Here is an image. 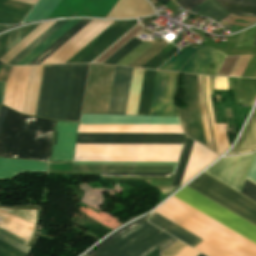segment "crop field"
<instances>
[{"mask_svg":"<svg viewBox=\"0 0 256 256\" xmlns=\"http://www.w3.org/2000/svg\"><path fill=\"white\" fill-rule=\"evenodd\" d=\"M112 22L92 20L40 64L65 63Z\"/></svg>","mask_w":256,"mask_h":256,"instance_id":"obj_12","label":"crop field"},{"mask_svg":"<svg viewBox=\"0 0 256 256\" xmlns=\"http://www.w3.org/2000/svg\"><path fill=\"white\" fill-rule=\"evenodd\" d=\"M156 71L145 70L137 115H148Z\"/></svg>","mask_w":256,"mask_h":256,"instance_id":"obj_26","label":"crop field"},{"mask_svg":"<svg viewBox=\"0 0 256 256\" xmlns=\"http://www.w3.org/2000/svg\"><path fill=\"white\" fill-rule=\"evenodd\" d=\"M11 66L2 64L0 68V81L6 82L11 71Z\"/></svg>","mask_w":256,"mask_h":256,"instance_id":"obj_51","label":"crop field"},{"mask_svg":"<svg viewBox=\"0 0 256 256\" xmlns=\"http://www.w3.org/2000/svg\"><path fill=\"white\" fill-rule=\"evenodd\" d=\"M88 64L44 66L35 116L78 121Z\"/></svg>","mask_w":256,"mask_h":256,"instance_id":"obj_3","label":"crop field"},{"mask_svg":"<svg viewBox=\"0 0 256 256\" xmlns=\"http://www.w3.org/2000/svg\"><path fill=\"white\" fill-rule=\"evenodd\" d=\"M136 22L137 20L127 21L122 27H120L116 32H114L110 37H108L104 42H102L98 47H96L92 52H90L78 63L91 62L112 43H114L119 37H121L126 31L134 26Z\"/></svg>","mask_w":256,"mask_h":256,"instance_id":"obj_30","label":"crop field"},{"mask_svg":"<svg viewBox=\"0 0 256 256\" xmlns=\"http://www.w3.org/2000/svg\"><path fill=\"white\" fill-rule=\"evenodd\" d=\"M191 12L210 18L216 22L219 21V23L229 15L214 0L204 1Z\"/></svg>","mask_w":256,"mask_h":256,"instance_id":"obj_32","label":"crop field"},{"mask_svg":"<svg viewBox=\"0 0 256 256\" xmlns=\"http://www.w3.org/2000/svg\"><path fill=\"white\" fill-rule=\"evenodd\" d=\"M31 7L10 0H0V24H19Z\"/></svg>","mask_w":256,"mask_h":256,"instance_id":"obj_22","label":"crop field"},{"mask_svg":"<svg viewBox=\"0 0 256 256\" xmlns=\"http://www.w3.org/2000/svg\"><path fill=\"white\" fill-rule=\"evenodd\" d=\"M148 221L193 248L203 241L154 212Z\"/></svg>","mask_w":256,"mask_h":256,"instance_id":"obj_21","label":"crop field"},{"mask_svg":"<svg viewBox=\"0 0 256 256\" xmlns=\"http://www.w3.org/2000/svg\"><path fill=\"white\" fill-rule=\"evenodd\" d=\"M177 73L157 71L151 116H178L173 102Z\"/></svg>","mask_w":256,"mask_h":256,"instance_id":"obj_13","label":"crop field"},{"mask_svg":"<svg viewBox=\"0 0 256 256\" xmlns=\"http://www.w3.org/2000/svg\"><path fill=\"white\" fill-rule=\"evenodd\" d=\"M125 22L126 21H114L111 25H109L104 31H102L97 37H95L90 43H88L83 49H81L66 63H77Z\"/></svg>","mask_w":256,"mask_h":256,"instance_id":"obj_28","label":"crop field"},{"mask_svg":"<svg viewBox=\"0 0 256 256\" xmlns=\"http://www.w3.org/2000/svg\"><path fill=\"white\" fill-rule=\"evenodd\" d=\"M252 46H256V39H255V41H254V43H253V45Z\"/></svg>","mask_w":256,"mask_h":256,"instance_id":"obj_60","label":"crop field"},{"mask_svg":"<svg viewBox=\"0 0 256 256\" xmlns=\"http://www.w3.org/2000/svg\"><path fill=\"white\" fill-rule=\"evenodd\" d=\"M16 1H20V2L35 5L38 0H16Z\"/></svg>","mask_w":256,"mask_h":256,"instance_id":"obj_57","label":"crop field"},{"mask_svg":"<svg viewBox=\"0 0 256 256\" xmlns=\"http://www.w3.org/2000/svg\"><path fill=\"white\" fill-rule=\"evenodd\" d=\"M177 51H178V48H176L174 46L166 54L160 52L154 58H152L148 63H146L143 67L144 68L156 69L158 66H160L164 61H166L169 57H171Z\"/></svg>","mask_w":256,"mask_h":256,"instance_id":"obj_41","label":"crop field"},{"mask_svg":"<svg viewBox=\"0 0 256 256\" xmlns=\"http://www.w3.org/2000/svg\"><path fill=\"white\" fill-rule=\"evenodd\" d=\"M247 31H248V30L243 31V32L241 33V35H240V37H239V39H238V41H237V43H236L235 46H240V45H241V43H242V41H243V39H244V37H245Z\"/></svg>","mask_w":256,"mask_h":256,"instance_id":"obj_56","label":"crop field"},{"mask_svg":"<svg viewBox=\"0 0 256 256\" xmlns=\"http://www.w3.org/2000/svg\"><path fill=\"white\" fill-rule=\"evenodd\" d=\"M184 134L77 133L76 143L182 144Z\"/></svg>","mask_w":256,"mask_h":256,"instance_id":"obj_8","label":"crop field"},{"mask_svg":"<svg viewBox=\"0 0 256 256\" xmlns=\"http://www.w3.org/2000/svg\"><path fill=\"white\" fill-rule=\"evenodd\" d=\"M240 193L256 201V185L250 181L245 180Z\"/></svg>","mask_w":256,"mask_h":256,"instance_id":"obj_46","label":"crop field"},{"mask_svg":"<svg viewBox=\"0 0 256 256\" xmlns=\"http://www.w3.org/2000/svg\"><path fill=\"white\" fill-rule=\"evenodd\" d=\"M219 156L193 142L181 184L186 183Z\"/></svg>","mask_w":256,"mask_h":256,"instance_id":"obj_18","label":"crop field"},{"mask_svg":"<svg viewBox=\"0 0 256 256\" xmlns=\"http://www.w3.org/2000/svg\"><path fill=\"white\" fill-rule=\"evenodd\" d=\"M11 26H0V31L10 28Z\"/></svg>","mask_w":256,"mask_h":256,"instance_id":"obj_59","label":"crop field"},{"mask_svg":"<svg viewBox=\"0 0 256 256\" xmlns=\"http://www.w3.org/2000/svg\"><path fill=\"white\" fill-rule=\"evenodd\" d=\"M74 164L176 165L177 163L74 162Z\"/></svg>","mask_w":256,"mask_h":256,"instance_id":"obj_47","label":"crop field"},{"mask_svg":"<svg viewBox=\"0 0 256 256\" xmlns=\"http://www.w3.org/2000/svg\"><path fill=\"white\" fill-rule=\"evenodd\" d=\"M5 85H6V83L0 82V103L3 102V96H4V91H5Z\"/></svg>","mask_w":256,"mask_h":256,"instance_id":"obj_55","label":"crop field"},{"mask_svg":"<svg viewBox=\"0 0 256 256\" xmlns=\"http://www.w3.org/2000/svg\"><path fill=\"white\" fill-rule=\"evenodd\" d=\"M80 19H72L65 23L61 28H59L55 33H53L49 38H47L43 43H41L37 48H35L31 53H29L25 58H23L16 65H27L36 56H38L43 50H45L50 44H52L56 39H58L63 33H65L70 27H72Z\"/></svg>","mask_w":256,"mask_h":256,"instance_id":"obj_29","label":"crop field"},{"mask_svg":"<svg viewBox=\"0 0 256 256\" xmlns=\"http://www.w3.org/2000/svg\"><path fill=\"white\" fill-rule=\"evenodd\" d=\"M185 108H179L184 131L188 137L205 145L197 103L196 75L184 74Z\"/></svg>","mask_w":256,"mask_h":256,"instance_id":"obj_10","label":"crop field"},{"mask_svg":"<svg viewBox=\"0 0 256 256\" xmlns=\"http://www.w3.org/2000/svg\"><path fill=\"white\" fill-rule=\"evenodd\" d=\"M215 90H228L227 77H215Z\"/></svg>","mask_w":256,"mask_h":256,"instance_id":"obj_50","label":"crop field"},{"mask_svg":"<svg viewBox=\"0 0 256 256\" xmlns=\"http://www.w3.org/2000/svg\"><path fill=\"white\" fill-rule=\"evenodd\" d=\"M237 84L240 103L251 107L256 99V79L237 78Z\"/></svg>","mask_w":256,"mask_h":256,"instance_id":"obj_33","label":"crop field"},{"mask_svg":"<svg viewBox=\"0 0 256 256\" xmlns=\"http://www.w3.org/2000/svg\"><path fill=\"white\" fill-rule=\"evenodd\" d=\"M139 34H141V32ZM139 34H137L133 39H131L103 63L116 65L120 60H122L126 55H128L132 50H134L139 44L143 42L136 38Z\"/></svg>","mask_w":256,"mask_h":256,"instance_id":"obj_39","label":"crop field"},{"mask_svg":"<svg viewBox=\"0 0 256 256\" xmlns=\"http://www.w3.org/2000/svg\"><path fill=\"white\" fill-rule=\"evenodd\" d=\"M167 45L168 44L160 38L128 66L141 67Z\"/></svg>","mask_w":256,"mask_h":256,"instance_id":"obj_38","label":"crop field"},{"mask_svg":"<svg viewBox=\"0 0 256 256\" xmlns=\"http://www.w3.org/2000/svg\"><path fill=\"white\" fill-rule=\"evenodd\" d=\"M0 216L4 217V218H7L15 223H18L26 228H29L31 230H34V225L28 223V222H25L19 218H16L8 213H5L3 211L0 210ZM0 217V228L6 230V231H9V232H12L14 234H17L27 240H30L31 236H32V231L18 225V224H15L7 219H4ZM4 230H1L0 229V240L24 251L27 253V251L29 250L30 247L27 246L28 242L27 240L17 236V235H14L12 233H9V232H6ZM2 241H0V250L10 256H25V253L3 243ZM0 252V256H8L4 253Z\"/></svg>","mask_w":256,"mask_h":256,"instance_id":"obj_9","label":"crop field"},{"mask_svg":"<svg viewBox=\"0 0 256 256\" xmlns=\"http://www.w3.org/2000/svg\"><path fill=\"white\" fill-rule=\"evenodd\" d=\"M204 0H180L177 2L179 5H181L184 9L190 11L197 5H199Z\"/></svg>","mask_w":256,"mask_h":256,"instance_id":"obj_49","label":"crop field"},{"mask_svg":"<svg viewBox=\"0 0 256 256\" xmlns=\"http://www.w3.org/2000/svg\"><path fill=\"white\" fill-rule=\"evenodd\" d=\"M255 154L221 158L204 172L240 191Z\"/></svg>","mask_w":256,"mask_h":256,"instance_id":"obj_11","label":"crop field"},{"mask_svg":"<svg viewBox=\"0 0 256 256\" xmlns=\"http://www.w3.org/2000/svg\"><path fill=\"white\" fill-rule=\"evenodd\" d=\"M131 70L116 67L108 114H124Z\"/></svg>","mask_w":256,"mask_h":256,"instance_id":"obj_16","label":"crop field"},{"mask_svg":"<svg viewBox=\"0 0 256 256\" xmlns=\"http://www.w3.org/2000/svg\"><path fill=\"white\" fill-rule=\"evenodd\" d=\"M225 54L220 52V51H216L211 63L209 64L205 74H210V75H216L220 65L222 64L224 58H225Z\"/></svg>","mask_w":256,"mask_h":256,"instance_id":"obj_42","label":"crop field"},{"mask_svg":"<svg viewBox=\"0 0 256 256\" xmlns=\"http://www.w3.org/2000/svg\"><path fill=\"white\" fill-rule=\"evenodd\" d=\"M197 87H198V103H199V108H200V114H201L204 134H205L206 145L208 148L212 149V143H211L209 127H208V122H207V116H206L204 100H203L202 76H200V75H197Z\"/></svg>","mask_w":256,"mask_h":256,"instance_id":"obj_37","label":"crop field"},{"mask_svg":"<svg viewBox=\"0 0 256 256\" xmlns=\"http://www.w3.org/2000/svg\"><path fill=\"white\" fill-rule=\"evenodd\" d=\"M204 241L194 249L207 256H256V245L175 197L154 210Z\"/></svg>","mask_w":256,"mask_h":256,"instance_id":"obj_2","label":"crop field"},{"mask_svg":"<svg viewBox=\"0 0 256 256\" xmlns=\"http://www.w3.org/2000/svg\"><path fill=\"white\" fill-rule=\"evenodd\" d=\"M29 66L13 67L7 81L3 104L19 112L22 110Z\"/></svg>","mask_w":256,"mask_h":256,"instance_id":"obj_15","label":"crop field"},{"mask_svg":"<svg viewBox=\"0 0 256 256\" xmlns=\"http://www.w3.org/2000/svg\"><path fill=\"white\" fill-rule=\"evenodd\" d=\"M67 21L68 20L56 21L46 31H44L40 36H38L32 43H30L25 49H23L18 55H16L11 61H9L8 64L15 65Z\"/></svg>","mask_w":256,"mask_h":256,"instance_id":"obj_35","label":"crop field"},{"mask_svg":"<svg viewBox=\"0 0 256 256\" xmlns=\"http://www.w3.org/2000/svg\"><path fill=\"white\" fill-rule=\"evenodd\" d=\"M187 245L181 243L180 241L175 242L169 248L161 253L162 256H175L179 251H181Z\"/></svg>","mask_w":256,"mask_h":256,"instance_id":"obj_48","label":"crop field"},{"mask_svg":"<svg viewBox=\"0 0 256 256\" xmlns=\"http://www.w3.org/2000/svg\"><path fill=\"white\" fill-rule=\"evenodd\" d=\"M55 121L20 115L3 106L0 107V157L49 160ZM55 124L49 163H67L73 160L78 123ZM56 138V145H55ZM55 152L53 158V151ZM67 161V162H52Z\"/></svg>","mask_w":256,"mask_h":256,"instance_id":"obj_1","label":"crop field"},{"mask_svg":"<svg viewBox=\"0 0 256 256\" xmlns=\"http://www.w3.org/2000/svg\"><path fill=\"white\" fill-rule=\"evenodd\" d=\"M199 254L200 253L196 252L195 250L187 246L176 256H198Z\"/></svg>","mask_w":256,"mask_h":256,"instance_id":"obj_53","label":"crop field"},{"mask_svg":"<svg viewBox=\"0 0 256 256\" xmlns=\"http://www.w3.org/2000/svg\"><path fill=\"white\" fill-rule=\"evenodd\" d=\"M182 145L76 144L74 161L177 162Z\"/></svg>","mask_w":256,"mask_h":256,"instance_id":"obj_5","label":"crop field"},{"mask_svg":"<svg viewBox=\"0 0 256 256\" xmlns=\"http://www.w3.org/2000/svg\"><path fill=\"white\" fill-rule=\"evenodd\" d=\"M256 225V204L205 174L186 185Z\"/></svg>","mask_w":256,"mask_h":256,"instance_id":"obj_6","label":"crop field"},{"mask_svg":"<svg viewBox=\"0 0 256 256\" xmlns=\"http://www.w3.org/2000/svg\"><path fill=\"white\" fill-rule=\"evenodd\" d=\"M173 173H102V176H172Z\"/></svg>","mask_w":256,"mask_h":256,"instance_id":"obj_45","label":"crop field"},{"mask_svg":"<svg viewBox=\"0 0 256 256\" xmlns=\"http://www.w3.org/2000/svg\"><path fill=\"white\" fill-rule=\"evenodd\" d=\"M203 86H204V100H205V106H206V111H207V116H208V122H209V127H210V133H211V138H212V143H213V149H214V152H216V151H215V145H214L213 134H212L210 116H209V111H208L207 99H206L205 76H203Z\"/></svg>","mask_w":256,"mask_h":256,"instance_id":"obj_52","label":"crop field"},{"mask_svg":"<svg viewBox=\"0 0 256 256\" xmlns=\"http://www.w3.org/2000/svg\"><path fill=\"white\" fill-rule=\"evenodd\" d=\"M256 150V107L238 142L227 155Z\"/></svg>","mask_w":256,"mask_h":256,"instance_id":"obj_23","label":"crop field"},{"mask_svg":"<svg viewBox=\"0 0 256 256\" xmlns=\"http://www.w3.org/2000/svg\"><path fill=\"white\" fill-rule=\"evenodd\" d=\"M206 86H207V99H208V105H209V111H210V116H211L213 134H214V139H215L216 151H217V154L220 155L221 152H220V147H219L216 127H215V122H214V117H213V111H212V106H211V99H210L209 77H207V76H206Z\"/></svg>","mask_w":256,"mask_h":256,"instance_id":"obj_43","label":"crop field"},{"mask_svg":"<svg viewBox=\"0 0 256 256\" xmlns=\"http://www.w3.org/2000/svg\"><path fill=\"white\" fill-rule=\"evenodd\" d=\"M54 22L55 21L42 23L34 31H32L27 37H25L21 42H19L15 47H13L8 53H6L2 58H0V61L7 63L9 60H11L16 54H18L23 48H25L31 41H33L38 35H40L45 29H47Z\"/></svg>","mask_w":256,"mask_h":256,"instance_id":"obj_36","label":"crop field"},{"mask_svg":"<svg viewBox=\"0 0 256 256\" xmlns=\"http://www.w3.org/2000/svg\"><path fill=\"white\" fill-rule=\"evenodd\" d=\"M90 19H81L72 28H70L65 34H63L58 40H56L52 45H50L45 51H43L38 57H36L28 65L39 64L47 56H49L53 51H55L59 46H61L65 41H67L71 36H73L77 31H79L83 26H85Z\"/></svg>","mask_w":256,"mask_h":256,"instance_id":"obj_31","label":"crop field"},{"mask_svg":"<svg viewBox=\"0 0 256 256\" xmlns=\"http://www.w3.org/2000/svg\"><path fill=\"white\" fill-rule=\"evenodd\" d=\"M174 1H176V2H177V1H179V0H174Z\"/></svg>","mask_w":256,"mask_h":256,"instance_id":"obj_61","label":"crop field"},{"mask_svg":"<svg viewBox=\"0 0 256 256\" xmlns=\"http://www.w3.org/2000/svg\"><path fill=\"white\" fill-rule=\"evenodd\" d=\"M61 0H40L23 22L47 19Z\"/></svg>","mask_w":256,"mask_h":256,"instance_id":"obj_34","label":"crop field"},{"mask_svg":"<svg viewBox=\"0 0 256 256\" xmlns=\"http://www.w3.org/2000/svg\"><path fill=\"white\" fill-rule=\"evenodd\" d=\"M144 70L135 69L132 70L127 106L125 114L136 115L139 95L141 90L142 78Z\"/></svg>","mask_w":256,"mask_h":256,"instance_id":"obj_24","label":"crop field"},{"mask_svg":"<svg viewBox=\"0 0 256 256\" xmlns=\"http://www.w3.org/2000/svg\"><path fill=\"white\" fill-rule=\"evenodd\" d=\"M40 24L25 26L0 36V57H2L6 52H8L13 46H15Z\"/></svg>","mask_w":256,"mask_h":256,"instance_id":"obj_27","label":"crop field"},{"mask_svg":"<svg viewBox=\"0 0 256 256\" xmlns=\"http://www.w3.org/2000/svg\"><path fill=\"white\" fill-rule=\"evenodd\" d=\"M47 164L30 160L0 158V179L18 175L24 171L46 172Z\"/></svg>","mask_w":256,"mask_h":256,"instance_id":"obj_20","label":"crop field"},{"mask_svg":"<svg viewBox=\"0 0 256 256\" xmlns=\"http://www.w3.org/2000/svg\"><path fill=\"white\" fill-rule=\"evenodd\" d=\"M221 152H225L230 146L227 140L224 124H216Z\"/></svg>","mask_w":256,"mask_h":256,"instance_id":"obj_44","label":"crop field"},{"mask_svg":"<svg viewBox=\"0 0 256 256\" xmlns=\"http://www.w3.org/2000/svg\"><path fill=\"white\" fill-rule=\"evenodd\" d=\"M210 85H211V94H214V83H213V77H210Z\"/></svg>","mask_w":256,"mask_h":256,"instance_id":"obj_58","label":"crop field"},{"mask_svg":"<svg viewBox=\"0 0 256 256\" xmlns=\"http://www.w3.org/2000/svg\"><path fill=\"white\" fill-rule=\"evenodd\" d=\"M199 256H203V255L200 254Z\"/></svg>","mask_w":256,"mask_h":256,"instance_id":"obj_62","label":"crop field"},{"mask_svg":"<svg viewBox=\"0 0 256 256\" xmlns=\"http://www.w3.org/2000/svg\"><path fill=\"white\" fill-rule=\"evenodd\" d=\"M144 217L113 233L89 252L88 256H144L160 251L176 241L145 222ZM145 256H158L159 250ZM159 254V253H158Z\"/></svg>","mask_w":256,"mask_h":256,"instance_id":"obj_4","label":"crop field"},{"mask_svg":"<svg viewBox=\"0 0 256 256\" xmlns=\"http://www.w3.org/2000/svg\"><path fill=\"white\" fill-rule=\"evenodd\" d=\"M74 172H174L176 166L73 165Z\"/></svg>","mask_w":256,"mask_h":256,"instance_id":"obj_19","label":"crop field"},{"mask_svg":"<svg viewBox=\"0 0 256 256\" xmlns=\"http://www.w3.org/2000/svg\"><path fill=\"white\" fill-rule=\"evenodd\" d=\"M221 7L234 14L256 16V0H216Z\"/></svg>","mask_w":256,"mask_h":256,"instance_id":"obj_25","label":"crop field"},{"mask_svg":"<svg viewBox=\"0 0 256 256\" xmlns=\"http://www.w3.org/2000/svg\"><path fill=\"white\" fill-rule=\"evenodd\" d=\"M114 69L90 65L82 113L107 114Z\"/></svg>","mask_w":256,"mask_h":256,"instance_id":"obj_7","label":"crop field"},{"mask_svg":"<svg viewBox=\"0 0 256 256\" xmlns=\"http://www.w3.org/2000/svg\"><path fill=\"white\" fill-rule=\"evenodd\" d=\"M192 142H193L192 140H190L188 138L186 139L184 150H183V153H182L172 186H179V184H180L181 177H182L185 165H186V161H187L190 149H191Z\"/></svg>","mask_w":256,"mask_h":256,"instance_id":"obj_40","label":"crop field"},{"mask_svg":"<svg viewBox=\"0 0 256 256\" xmlns=\"http://www.w3.org/2000/svg\"><path fill=\"white\" fill-rule=\"evenodd\" d=\"M77 132L183 133L180 126L79 125Z\"/></svg>","mask_w":256,"mask_h":256,"instance_id":"obj_17","label":"crop field"},{"mask_svg":"<svg viewBox=\"0 0 256 256\" xmlns=\"http://www.w3.org/2000/svg\"><path fill=\"white\" fill-rule=\"evenodd\" d=\"M179 187H175V188H167V189H163L160 190L164 195H166L167 197L169 195H171L175 190H177Z\"/></svg>","mask_w":256,"mask_h":256,"instance_id":"obj_54","label":"crop field"},{"mask_svg":"<svg viewBox=\"0 0 256 256\" xmlns=\"http://www.w3.org/2000/svg\"><path fill=\"white\" fill-rule=\"evenodd\" d=\"M196 50L198 49H194L190 46L181 49L159 69L178 71ZM214 52L215 49L203 44V46L183 66L180 72L204 74Z\"/></svg>","mask_w":256,"mask_h":256,"instance_id":"obj_14","label":"crop field"}]
</instances>
